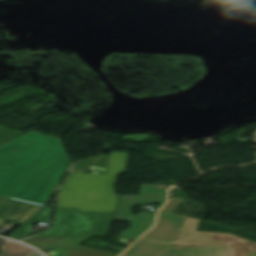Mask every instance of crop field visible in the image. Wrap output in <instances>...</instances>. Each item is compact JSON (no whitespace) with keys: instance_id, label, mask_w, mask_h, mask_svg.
Returning a JSON list of instances; mask_svg holds the SVG:
<instances>
[{"instance_id":"obj_1","label":"crop field","mask_w":256,"mask_h":256,"mask_svg":"<svg viewBox=\"0 0 256 256\" xmlns=\"http://www.w3.org/2000/svg\"><path fill=\"white\" fill-rule=\"evenodd\" d=\"M71 165L58 138L30 131L0 146V195L45 206Z\"/></svg>"},{"instance_id":"obj_2","label":"crop field","mask_w":256,"mask_h":256,"mask_svg":"<svg viewBox=\"0 0 256 256\" xmlns=\"http://www.w3.org/2000/svg\"><path fill=\"white\" fill-rule=\"evenodd\" d=\"M129 153L111 152L106 174L70 172L63 183L56 207H77L78 211L114 212L117 174L125 170Z\"/></svg>"},{"instance_id":"obj_3","label":"crop field","mask_w":256,"mask_h":256,"mask_svg":"<svg viewBox=\"0 0 256 256\" xmlns=\"http://www.w3.org/2000/svg\"><path fill=\"white\" fill-rule=\"evenodd\" d=\"M113 214L56 208L52 228L34 237L108 236Z\"/></svg>"},{"instance_id":"obj_4","label":"crop field","mask_w":256,"mask_h":256,"mask_svg":"<svg viewBox=\"0 0 256 256\" xmlns=\"http://www.w3.org/2000/svg\"><path fill=\"white\" fill-rule=\"evenodd\" d=\"M165 200L166 189H154V185H142L139 196L119 195L113 220L132 222V227L119 238L135 240L153 225L155 213L134 215L131 213L132 206L144 203H165Z\"/></svg>"},{"instance_id":"obj_5","label":"crop field","mask_w":256,"mask_h":256,"mask_svg":"<svg viewBox=\"0 0 256 256\" xmlns=\"http://www.w3.org/2000/svg\"><path fill=\"white\" fill-rule=\"evenodd\" d=\"M198 219L188 217L184 226L182 227V232H179V235L176 240V245H203V244H228L230 256H246V245L251 243L252 247L256 243L230 235V234H220V233H204V232H195L198 225ZM223 236L222 239L215 240L212 239L214 236ZM227 237H233L237 240H243L240 244H232L224 240Z\"/></svg>"},{"instance_id":"obj_6","label":"crop field","mask_w":256,"mask_h":256,"mask_svg":"<svg viewBox=\"0 0 256 256\" xmlns=\"http://www.w3.org/2000/svg\"><path fill=\"white\" fill-rule=\"evenodd\" d=\"M185 199L172 197L159 213L156 226L141 239L174 244L177 234L187 216L174 214Z\"/></svg>"},{"instance_id":"obj_7","label":"crop field","mask_w":256,"mask_h":256,"mask_svg":"<svg viewBox=\"0 0 256 256\" xmlns=\"http://www.w3.org/2000/svg\"><path fill=\"white\" fill-rule=\"evenodd\" d=\"M91 237L30 238L24 243L38 249L52 248L62 256H118L119 253L78 245ZM82 244V243H81Z\"/></svg>"},{"instance_id":"obj_8","label":"crop field","mask_w":256,"mask_h":256,"mask_svg":"<svg viewBox=\"0 0 256 256\" xmlns=\"http://www.w3.org/2000/svg\"><path fill=\"white\" fill-rule=\"evenodd\" d=\"M41 208L43 207L0 196V228L9 221L20 225Z\"/></svg>"},{"instance_id":"obj_9","label":"crop field","mask_w":256,"mask_h":256,"mask_svg":"<svg viewBox=\"0 0 256 256\" xmlns=\"http://www.w3.org/2000/svg\"><path fill=\"white\" fill-rule=\"evenodd\" d=\"M188 251L192 253L187 255ZM160 256H229L227 245L192 247H172ZM247 256H256V252L249 250Z\"/></svg>"},{"instance_id":"obj_10","label":"crop field","mask_w":256,"mask_h":256,"mask_svg":"<svg viewBox=\"0 0 256 256\" xmlns=\"http://www.w3.org/2000/svg\"><path fill=\"white\" fill-rule=\"evenodd\" d=\"M173 245L139 240L123 256H158Z\"/></svg>"},{"instance_id":"obj_11","label":"crop field","mask_w":256,"mask_h":256,"mask_svg":"<svg viewBox=\"0 0 256 256\" xmlns=\"http://www.w3.org/2000/svg\"><path fill=\"white\" fill-rule=\"evenodd\" d=\"M52 207H44L37 214H35L31 219H29L25 224H23L19 229H17L10 237L19 236H29L35 232L29 230L28 228L32 226L37 221L49 223Z\"/></svg>"},{"instance_id":"obj_12","label":"crop field","mask_w":256,"mask_h":256,"mask_svg":"<svg viewBox=\"0 0 256 256\" xmlns=\"http://www.w3.org/2000/svg\"><path fill=\"white\" fill-rule=\"evenodd\" d=\"M31 248L11 241H6L0 256H36ZM40 256V255H39Z\"/></svg>"}]
</instances>
